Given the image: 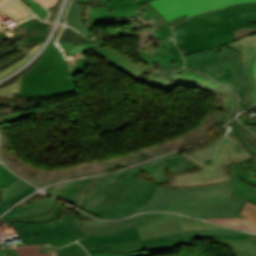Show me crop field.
<instances>
[{"instance_id":"obj_30","label":"crop field","mask_w":256,"mask_h":256,"mask_svg":"<svg viewBox=\"0 0 256 256\" xmlns=\"http://www.w3.org/2000/svg\"><path fill=\"white\" fill-rule=\"evenodd\" d=\"M0 36H8L12 41L16 40V38H22L24 39V41L16 43L17 45H21V44L35 42V41H43L46 34L42 35L25 28H23V30L19 33H13L10 31L9 28H6L0 31Z\"/></svg>"},{"instance_id":"obj_31","label":"crop field","mask_w":256,"mask_h":256,"mask_svg":"<svg viewBox=\"0 0 256 256\" xmlns=\"http://www.w3.org/2000/svg\"><path fill=\"white\" fill-rule=\"evenodd\" d=\"M8 17L17 21L32 15V13L18 0H14L0 9Z\"/></svg>"},{"instance_id":"obj_12","label":"crop field","mask_w":256,"mask_h":256,"mask_svg":"<svg viewBox=\"0 0 256 256\" xmlns=\"http://www.w3.org/2000/svg\"><path fill=\"white\" fill-rule=\"evenodd\" d=\"M77 242L90 253L103 252L102 250H126L138 247H145L147 251L171 249L175 245L190 244L193 242V239H183L182 234L179 233L144 241L137 240L125 243L104 244L97 246L93 242H91L87 237H84Z\"/></svg>"},{"instance_id":"obj_10","label":"crop field","mask_w":256,"mask_h":256,"mask_svg":"<svg viewBox=\"0 0 256 256\" xmlns=\"http://www.w3.org/2000/svg\"><path fill=\"white\" fill-rule=\"evenodd\" d=\"M256 0H153L148 4L166 21L184 13L188 17L211 11L231 4L255 2Z\"/></svg>"},{"instance_id":"obj_16","label":"crop field","mask_w":256,"mask_h":256,"mask_svg":"<svg viewBox=\"0 0 256 256\" xmlns=\"http://www.w3.org/2000/svg\"><path fill=\"white\" fill-rule=\"evenodd\" d=\"M166 213H144L131 218H127L123 221L113 222L111 224H105L102 226H84L80 225L74 227V230L80 236H90L97 234L114 233L130 227H134L140 224L150 222Z\"/></svg>"},{"instance_id":"obj_37","label":"crop field","mask_w":256,"mask_h":256,"mask_svg":"<svg viewBox=\"0 0 256 256\" xmlns=\"http://www.w3.org/2000/svg\"><path fill=\"white\" fill-rule=\"evenodd\" d=\"M182 230H194V229H229L209 223H180Z\"/></svg>"},{"instance_id":"obj_11","label":"crop field","mask_w":256,"mask_h":256,"mask_svg":"<svg viewBox=\"0 0 256 256\" xmlns=\"http://www.w3.org/2000/svg\"><path fill=\"white\" fill-rule=\"evenodd\" d=\"M114 163L109 159L87 161L67 167L55 168L52 171L41 169L31 183L37 186H45L58 180L71 178L75 175L103 173L115 169Z\"/></svg>"},{"instance_id":"obj_40","label":"crop field","mask_w":256,"mask_h":256,"mask_svg":"<svg viewBox=\"0 0 256 256\" xmlns=\"http://www.w3.org/2000/svg\"><path fill=\"white\" fill-rule=\"evenodd\" d=\"M183 234H215V233H244L236 230H195L182 231Z\"/></svg>"},{"instance_id":"obj_34","label":"crop field","mask_w":256,"mask_h":256,"mask_svg":"<svg viewBox=\"0 0 256 256\" xmlns=\"http://www.w3.org/2000/svg\"><path fill=\"white\" fill-rule=\"evenodd\" d=\"M31 185L21 181L16 180L14 181L9 187H7L5 190L2 191V202H5L9 198L13 197L14 195L18 194L19 192L23 191L27 187Z\"/></svg>"},{"instance_id":"obj_24","label":"crop field","mask_w":256,"mask_h":256,"mask_svg":"<svg viewBox=\"0 0 256 256\" xmlns=\"http://www.w3.org/2000/svg\"><path fill=\"white\" fill-rule=\"evenodd\" d=\"M209 243H220L228 246L234 256H256V236L253 235H250L248 240L216 239L209 241Z\"/></svg>"},{"instance_id":"obj_33","label":"crop field","mask_w":256,"mask_h":256,"mask_svg":"<svg viewBox=\"0 0 256 256\" xmlns=\"http://www.w3.org/2000/svg\"><path fill=\"white\" fill-rule=\"evenodd\" d=\"M80 11H81V7L75 4V2H73L70 8L69 17H68L69 24L72 25L74 28H76L78 31L86 34L89 37H92L88 29L85 27V25L81 21Z\"/></svg>"},{"instance_id":"obj_48","label":"crop field","mask_w":256,"mask_h":256,"mask_svg":"<svg viewBox=\"0 0 256 256\" xmlns=\"http://www.w3.org/2000/svg\"><path fill=\"white\" fill-rule=\"evenodd\" d=\"M135 251H146V250L145 248H139V249H130L126 251H105V252L123 253V252H135Z\"/></svg>"},{"instance_id":"obj_3","label":"crop field","mask_w":256,"mask_h":256,"mask_svg":"<svg viewBox=\"0 0 256 256\" xmlns=\"http://www.w3.org/2000/svg\"><path fill=\"white\" fill-rule=\"evenodd\" d=\"M244 203L245 200L232 196L230 180L195 188L158 186L152 200L137 211L169 210L197 218L243 217L238 214Z\"/></svg>"},{"instance_id":"obj_44","label":"crop field","mask_w":256,"mask_h":256,"mask_svg":"<svg viewBox=\"0 0 256 256\" xmlns=\"http://www.w3.org/2000/svg\"><path fill=\"white\" fill-rule=\"evenodd\" d=\"M90 256H146L142 253H124V254H114V253H90Z\"/></svg>"},{"instance_id":"obj_27","label":"crop field","mask_w":256,"mask_h":256,"mask_svg":"<svg viewBox=\"0 0 256 256\" xmlns=\"http://www.w3.org/2000/svg\"><path fill=\"white\" fill-rule=\"evenodd\" d=\"M88 238L96 244L125 242L140 239L135 227L114 234L90 236Z\"/></svg>"},{"instance_id":"obj_42","label":"crop field","mask_w":256,"mask_h":256,"mask_svg":"<svg viewBox=\"0 0 256 256\" xmlns=\"http://www.w3.org/2000/svg\"><path fill=\"white\" fill-rule=\"evenodd\" d=\"M172 220H179L178 218V215L176 214H167L155 221H152L150 223H147V224H144V225H140V226H137V227H142V226H147V225H151V224H157V223H162V222H165V221H172Z\"/></svg>"},{"instance_id":"obj_4","label":"crop field","mask_w":256,"mask_h":256,"mask_svg":"<svg viewBox=\"0 0 256 256\" xmlns=\"http://www.w3.org/2000/svg\"><path fill=\"white\" fill-rule=\"evenodd\" d=\"M94 54L105 58L116 68L133 76L140 82L173 92L178 86L172 83L171 80H174L182 85L196 87L214 95L218 100L216 107H221L228 111H237L238 100L236 94L205 75L186 69L172 72H155L147 65L133 60L107 46L94 51ZM158 73L161 74L158 75Z\"/></svg>"},{"instance_id":"obj_29","label":"crop field","mask_w":256,"mask_h":256,"mask_svg":"<svg viewBox=\"0 0 256 256\" xmlns=\"http://www.w3.org/2000/svg\"><path fill=\"white\" fill-rule=\"evenodd\" d=\"M231 175H232V185H233V196L249 200L256 204V187L250 186L242 182L233 169V164H231Z\"/></svg>"},{"instance_id":"obj_50","label":"crop field","mask_w":256,"mask_h":256,"mask_svg":"<svg viewBox=\"0 0 256 256\" xmlns=\"http://www.w3.org/2000/svg\"><path fill=\"white\" fill-rule=\"evenodd\" d=\"M0 256H8L6 248L0 247Z\"/></svg>"},{"instance_id":"obj_38","label":"crop field","mask_w":256,"mask_h":256,"mask_svg":"<svg viewBox=\"0 0 256 256\" xmlns=\"http://www.w3.org/2000/svg\"><path fill=\"white\" fill-rule=\"evenodd\" d=\"M16 177L8 172L3 165H0V187L9 186L14 180L18 179Z\"/></svg>"},{"instance_id":"obj_28","label":"crop field","mask_w":256,"mask_h":256,"mask_svg":"<svg viewBox=\"0 0 256 256\" xmlns=\"http://www.w3.org/2000/svg\"><path fill=\"white\" fill-rule=\"evenodd\" d=\"M142 169H144L146 172H149V174H151V176H146L143 179H146L147 181H150L154 184L168 182L166 162L152 169L147 167L145 164H142V165L134 166L128 169V171L138 176V173H140V170Z\"/></svg>"},{"instance_id":"obj_32","label":"crop field","mask_w":256,"mask_h":256,"mask_svg":"<svg viewBox=\"0 0 256 256\" xmlns=\"http://www.w3.org/2000/svg\"><path fill=\"white\" fill-rule=\"evenodd\" d=\"M103 46H105V43L94 46V47H91V48H88V49H85V50L80 51L78 53L72 54L73 59L68 60V62L71 66L73 74L75 75V74L85 72V70L87 68V64H88V61L86 60L85 55H84V53L86 51L95 50V49L103 47Z\"/></svg>"},{"instance_id":"obj_51","label":"crop field","mask_w":256,"mask_h":256,"mask_svg":"<svg viewBox=\"0 0 256 256\" xmlns=\"http://www.w3.org/2000/svg\"><path fill=\"white\" fill-rule=\"evenodd\" d=\"M253 74H254V79H255V83H256V59L253 63Z\"/></svg>"},{"instance_id":"obj_15","label":"crop field","mask_w":256,"mask_h":256,"mask_svg":"<svg viewBox=\"0 0 256 256\" xmlns=\"http://www.w3.org/2000/svg\"><path fill=\"white\" fill-rule=\"evenodd\" d=\"M227 46L241 56L246 85L250 93L251 105H253L256 103V86L252 75V62L256 58V35L241 38Z\"/></svg>"},{"instance_id":"obj_5","label":"crop field","mask_w":256,"mask_h":256,"mask_svg":"<svg viewBox=\"0 0 256 256\" xmlns=\"http://www.w3.org/2000/svg\"><path fill=\"white\" fill-rule=\"evenodd\" d=\"M155 188L129 173L100 195L85 199L84 210L103 219H119L151 200Z\"/></svg>"},{"instance_id":"obj_46","label":"crop field","mask_w":256,"mask_h":256,"mask_svg":"<svg viewBox=\"0 0 256 256\" xmlns=\"http://www.w3.org/2000/svg\"><path fill=\"white\" fill-rule=\"evenodd\" d=\"M185 18H187L186 14H184V15H182L180 17H177L175 19H172V20L168 21V23L173 25V24H175V23H177V22H179V21H181V20H183Z\"/></svg>"},{"instance_id":"obj_20","label":"crop field","mask_w":256,"mask_h":256,"mask_svg":"<svg viewBox=\"0 0 256 256\" xmlns=\"http://www.w3.org/2000/svg\"><path fill=\"white\" fill-rule=\"evenodd\" d=\"M64 53L61 48H57L54 40L50 43L40 60L26 73H41L44 71H54L68 68Z\"/></svg>"},{"instance_id":"obj_1","label":"crop field","mask_w":256,"mask_h":256,"mask_svg":"<svg viewBox=\"0 0 256 256\" xmlns=\"http://www.w3.org/2000/svg\"><path fill=\"white\" fill-rule=\"evenodd\" d=\"M94 3L106 4L107 7L89 10L87 21L91 25L98 21L102 24H115L138 19L144 23L142 25L132 24L129 26L131 30L146 26L155 27L137 33L143 42L142 47L148 48V51L141 50L139 55L153 69L174 70L184 66L183 57L173 42L174 33L168 26L169 24L147 3L141 6L132 0H96Z\"/></svg>"},{"instance_id":"obj_43","label":"crop field","mask_w":256,"mask_h":256,"mask_svg":"<svg viewBox=\"0 0 256 256\" xmlns=\"http://www.w3.org/2000/svg\"><path fill=\"white\" fill-rule=\"evenodd\" d=\"M79 212H80V211H79ZM80 215H81V217H87V218H89V219L92 220V221H87V220H82V221H80L81 224H84V225H102V224H105V223H106V222L100 221V220H98V219H96V218H93V217H91V216H89V215H86V214H84V213H82V212H80Z\"/></svg>"},{"instance_id":"obj_56","label":"crop field","mask_w":256,"mask_h":256,"mask_svg":"<svg viewBox=\"0 0 256 256\" xmlns=\"http://www.w3.org/2000/svg\"><path fill=\"white\" fill-rule=\"evenodd\" d=\"M76 2L78 1V0H75Z\"/></svg>"},{"instance_id":"obj_45","label":"crop field","mask_w":256,"mask_h":256,"mask_svg":"<svg viewBox=\"0 0 256 256\" xmlns=\"http://www.w3.org/2000/svg\"><path fill=\"white\" fill-rule=\"evenodd\" d=\"M39 2L42 6H44L46 9H50L57 0H36Z\"/></svg>"},{"instance_id":"obj_41","label":"crop field","mask_w":256,"mask_h":256,"mask_svg":"<svg viewBox=\"0 0 256 256\" xmlns=\"http://www.w3.org/2000/svg\"><path fill=\"white\" fill-rule=\"evenodd\" d=\"M236 126L242 132V134L244 135L245 139L256 147V135L253 134L248 129L244 128L240 123H237Z\"/></svg>"},{"instance_id":"obj_17","label":"crop field","mask_w":256,"mask_h":256,"mask_svg":"<svg viewBox=\"0 0 256 256\" xmlns=\"http://www.w3.org/2000/svg\"><path fill=\"white\" fill-rule=\"evenodd\" d=\"M185 144H187L185 140L181 136H178V137L171 138L165 142L153 145L151 147L133 151L127 156L117 157L111 160L115 162V165L119 164L125 167L131 164H135V163L150 159L156 155L170 152ZM150 150H152V152H150ZM143 153H145V155H143Z\"/></svg>"},{"instance_id":"obj_8","label":"crop field","mask_w":256,"mask_h":256,"mask_svg":"<svg viewBox=\"0 0 256 256\" xmlns=\"http://www.w3.org/2000/svg\"><path fill=\"white\" fill-rule=\"evenodd\" d=\"M70 75V78L65 76ZM78 91L70 69L42 74L23 75L21 93L17 97L59 95Z\"/></svg>"},{"instance_id":"obj_18","label":"crop field","mask_w":256,"mask_h":256,"mask_svg":"<svg viewBox=\"0 0 256 256\" xmlns=\"http://www.w3.org/2000/svg\"><path fill=\"white\" fill-rule=\"evenodd\" d=\"M220 49H222L221 55H223L225 58L229 60V63L232 69V73H233L236 87H237V92L240 98V105H239V112H240L241 110L247 108L250 105V100H249V93L245 85V79L243 76L240 56L238 55L237 52L233 51L230 48H227L226 46H223V47H217L211 50H205L202 52L186 55L184 56V58L214 51V50H220Z\"/></svg>"},{"instance_id":"obj_55","label":"crop field","mask_w":256,"mask_h":256,"mask_svg":"<svg viewBox=\"0 0 256 256\" xmlns=\"http://www.w3.org/2000/svg\"><path fill=\"white\" fill-rule=\"evenodd\" d=\"M83 1H89V5H90L92 0H79L78 2H83Z\"/></svg>"},{"instance_id":"obj_49","label":"crop field","mask_w":256,"mask_h":256,"mask_svg":"<svg viewBox=\"0 0 256 256\" xmlns=\"http://www.w3.org/2000/svg\"><path fill=\"white\" fill-rule=\"evenodd\" d=\"M180 222H202V221L190 219V218L183 217V216L180 215Z\"/></svg>"},{"instance_id":"obj_13","label":"crop field","mask_w":256,"mask_h":256,"mask_svg":"<svg viewBox=\"0 0 256 256\" xmlns=\"http://www.w3.org/2000/svg\"><path fill=\"white\" fill-rule=\"evenodd\" d=\"M216 53L217 51L187 58L185 59V67L207 74L236 92L234 79L227 59Z\"/></svg>"},{"instance_id":"obj_23","label":"crop field","mask_w":256,"mask_h":256,"mask_svg":"<svg viewBox=\"0 0 256 256\" xmlns=\"http://www.w3.org/2000/svg\"><path fill=\"white\" fill-rule=\"evenodd\" d=\"M103 42V39L89 40L69 29L65 31L59 40V44L63 48L66 56Z\"/></svg>"},{"instance_id":"obj_22","label":"crop field","mask_w":256,"mask_h":256,"mask_svg":"<svg viewBox=\"0 0 256 256\" xmlns=\"http://www.w3.org/2000/svg\"><path fill=\"white\" fill-rule=\"evenodd\" d=\"M240 215L248 218H223V219H205L249 231L256 232V205L246 201Z\"/></svg>"},{"instance_id":"obj_2","label":"crop field","mask_w":256,"mask_h":256,"mask_svg":"<svg viewBox=\"0 0 256 256\" xmlns=\"http://www.w3.org/2000/svg\"><path fill=\"white\" fill-rule=\"evenodd\" d=\"M175 43L183 55L227 45L256 33V3L190 17L173 27Z\"/></svg>"},{"instance_id":"obj_54","label":"crop field","mask_w":256,"mask_h":256,"mask_svg":"<svg viewBox=\"0 0 256 256\" xmlns=\"http://www.w3.org/2000/svg\"><path fill=\"white\" fill-rule=\"evenodd\" d=\"M245 126L250 128L251 130H253L256 133V127H254V126H247V125H245Z\"/></svg>"},{"instance_id":"obj_7","label":"crop field","mask_w":256,"mask_h":256,"mask_svg":"<svg viewBox=\"0 0 256 256\" xmlns=\"http://www.w3.org/2000/svg\"><path fill=\"white\" fill-rule=\"evenodd\" d=\"M27 245L50 244L60 247L80 239L73 226L80 225L75 215L58 216L43 224L12 222Z\"/></svg>"},{"instance_id":"obj_36","label":"crop field","mask_w":256,"mask_h":256,"mask_svg":"<svg viewBox=\"0 0 256 256\" xmlns=\"http://www.w3.org/2000/svg\"><path fill=\"white\" fill-rule=\"evenodd\" d=\"M18 25L28 28V29H31V30H34L36 32L42 33V34H45L47 32L48 26H49V25L40 23L36 19H33V20L29 19L21 24H18Z\"/></svg>"},{"instance_id":"obj_25","label":"crop field","mask_w":256,"mask_h":256,"mask_svg":"<svg viewBox=\"0 0 256 256\" xmlns=\"http://www.w3.org/2000/svg\"><path fill=\"white\" fill-rule=\"evenodd\" d=\"M141 240L181 232L179 221L165 222L162 224L142 227L137 229Z\"/></svg>"},{"instance_id":"obj_14","label":"crop field","mask_w":256,"mask_h":256,"mask_svg":"<svg viewBox=\"0 0 256 256\" xmlns=\"http://www.w3.org/2000/svg\"><path fill=\"white\" fill-rule=\"evenodd\" d=\"M62 205L47 196L31 204L7 212L4 217L8 221L43 223L56 218Z\"/></svg>"},{"instance_id":"obj_52","label":"crop field","mask_w":256,"mask_h":256,"mask_svg":"<svg viewBox=\"0 0 256 256\" xmlns=\"http://www.w3.org/2000/svg\"><path fill=\"white\" fill-rule=\"evenodd\" d=\"M133 1L136 2L137 4L141 5V4H143L145 2H148L150 0H133Z\"/></svg>"},{"instance_id":"obj_39","label":"crop field","mask_w":256,"mask_h":256,"mask_svg":"<svg viewBox=\"0 0 256 256\" xmlns=\"http://www.w3.org/2000/svg\"><path fill=\"white\" fill-rule=\"evenodd\" d=\"M184 238H199V237H217L229 239H247L248 234H216V235H183Z\"/></svg>"},{"instance_id":"obj_21","label":"crop field","mask_w":256,"mask_h":256,"mask_svg":"<svg viewBox=\"0 0 256 256\" xmlns=\"http://www.w3.org/2000/svg\"><path fill=\"white\" fill-rule=\"evenodd\" d=\"M234 115L235 114L224 112L221 114L206 116L197 127L183 134L182 137L186 139L188 145L197 143L209 135L207 131L211 125L216 124V122H219V125H223V122L225 123L227 120L234 117Z\"/></svg>"},{"instance_id":"obj_19","label":"crop field","mask_w":256,"mask_h":256,"mask_svg":"<svg viewBox=\"0 0 256 256\" xmlns=\"http://www.w3.org/2000/svg\"><path fill=\"white\" fill-rule=\"evenodd\" d=\"M7 249L9 256H88L87 252L78 243H72L61 248L43 245Z\"/></svg>"},{"instance_id":"obj_35","label":"crop field","mask_w":256,"mask_h":256,"mask_svg":"<svg viewBox=\"0 0 256 256\" xmlns=\"http://www.w3.org/2000/svg\"><path fill=\"white\" fill-rule=\"evenodd\" d=\"M36 188L34 187H29L23 192L19 193L18 195L14 196L13 198L9 199L5 203L0 205V214L7 210L9 207H11L13 204L17 203L20 199L24 198L27 195H30L33 191H35Z\"/></svg>"},{"instance_id":"obj_26","label":"crop field","mask_w":256,"mask_h":256,"mask_svg":"<svg viewBox=\"0 0 256 256\" xmlns=\"http://www.w3.org/2000/svg\"><path fill=\"white\" fill-rule=\"evenodd\" d=\"M165 161H167L168 173L182 171V170H188V169L196 168V166H197V165L196 166L193 165L192 163H190L189 161H187L186 159L181 157L176 152H174L168 156L152 160V161L146 163V165H148L150 168H152V167H154L158 164H161Z\"/></svg>"},{"instance_id":"obj_6","label":"crop field","mask_w":256,"mask_h":256,"mask_svg":"<svg viewBox=\"0 0 256 256\" xmlns=\"http://www.w3.org/2000/svg\"><path fill=\"white\" fill-rule=\"evenodd\" d=\"M223 133L218 136L216 139H212L208 143L186 153L184 156L191 159L193 162L201 166L198 172L192 173H174L175 182H204L206 184L217 183L220 181H224L230 178H224V173L220 167L225 161L230 160L239 154L246 152L242 145H238L239 142L234 140L232 137L228 139V141L223 144L217 153L214 163L211 167L205 166L203 161L210 158L220 139L222 138ZM241 144V143H240Z\"/></svg>"},{"instance_id":"obj_53","label":"crop field","mask_w":256,"mask_h":256,"mask_svg":"<svg viewBox=\"0 0 256 256\" xmlns=\"http://www.w3.org/2000/svg\"><path fill=\"white\" fill-rule=\"evenodd\" d=\"M9 1H11V0H0V6L8 3Z\"/></svg>"},{"instance_id":"obj_9","label":"crop field","mask_w":256,"mask_h":256,"mask_svg":"<svg viewBox=\"0 0 256 256\" xmlns=\"http://www.w3.org/2000/svg\"><path fill=\"white\" fill-rule=\"evenodd\" d=\"M129 172L122 170L118 173L67 181L46 189L53 196L66 199L83 209V199L95 196L111 186L121 176ZM62 190L61 192L59 190Z\"/></svg>"},{"instance_id":"obj_47","label":"crop field","mask_w":256,"mask_h":256,"mask_svg":"<svg viewBox=\"0 0 256 256\" xmlns=\"http://www.w3.org/2000/svg\"><path fill=\"white\" fill-rule=\"evenodd\" d=\"M255 111H256V109H255ZM245 119H246V116H245V115H242V116L240 117V120H241V122H242L243 124H248V125H254V126H256V120H255V121H248V122H245Z\"/></svg>"}]
</instances>
